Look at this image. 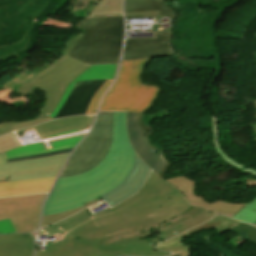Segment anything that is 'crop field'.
<instances>
[{
    "label": "crop field",
    "mask_w": 256,
    "mask_h": 256,
    "mask_svg": "<svg viewBox=\"0 0 256 256\" xmlns=\"http://www.w3.org/2000/svg\"><path fill=\"white\" fill-rule=\"evenodd\" d=\"M204 209L189 205L178 190L152 172L141 190L120 205L91 215L84 209L39 230L59 239L35 256H160L145 238L201 214Z\"/></svg>",
    "instance_id": "crop-field-1"
},
{
    "label": "crop field",
    "mask_w": 256,
    "mask_h": 256,
    "mask_svg": "<svg viewBox=\"0 0 256 256\" xmlns=\"http://www.w3.org/2000/svg\"><path fill=\"white\" fill-rule=\"evenodd\" d=\"M125 114L114 112L112 147L105 159L84 174L59 178L43 216L72 210L99 196L112 207L138 191L151 170L130 146Z\"/></svg>",
    "instance_id": "crop-field-2"
},
{
    "label": "crop field",
    "mask_w": 256,
    "mask_h": 256,
    "mask_svg": "<svg viewBox=\"0 0 256 256\" xmlns=\"http://www.w3.org/2000/svg\"><path fill=\"white\" fill-rule=\"evenodd\" d=\"M82 31L69 56L89 64L117 63L123 43V16L93 17L79 24Z\"/></svg>",
    "instance_id": "crop-field-3"
},
{
    "label": "crop field",
    "mask_w": 256,
    "mask_h": 256,
    "mask_svg": "<svg viewBox=\"0 0 256 256\" xmlns=\"http://www.w3.org/2000/svg\"><path fill=\"white\" fill-rule=\"evenodd\" d=\"M150 59L122 61L119 75L105 95L99 110L144 113L152 107L160 93V87L144 85L141 78Z\"/></svg>",
    "instance_id": "crop-field-4"
},
{
    "label": "crop field",
    "mask_w": 256,
    "mask_h": 256,
    "mask_svg": "<svg viewBox=\"0 0 256 256\" xmlns=\"http://www.w3.org/2000/svg\"><path fill=\"white\" fill-rule=\"evenodd\" d=\"M113 112H99L96 123L71 155L60 177L83 173L101 162L112 141Z\"/></svg>",
    "instance_id": "crop-field-5"
},
{
    "label": "crop field",
    "mask_w": 256,
    "mask_h": 256,
    "mask_svg": "<svg viewBox=\"0 0 256 256\" xmlns=\"http://www.w3.org/2000/svg\"><path fill=\"white\" fill-rule=\"evenodd\" d=\"M68 154L7 163L0 154V181H21L57 176ZM11 176V177H9Z\"/></svg>",
    "instance_id": "crop-field-6"
},
{
    "label": "crop field",
    "mask_w": 256,
    "mask_h": 256,
    "mask_svg": "<svg viewBox=\"0 0 256 256\" xmlns=\"http://www.w3.org/2000/svg\"><path fill=\"white\" fill-rule=\"evenodd\" d=\"M46 194L0 199V220L10 218L16 233L36 231Z\"/></svg>",
    "instance_id": "crop-field-7"
},
{
    "label": "crop field",
    "mask_w": 256,
    "mask_h": 256,
    "mask_svg": "<svg viewBox=\"0 0 256 256\" xmlns=\"http://www.w3.org/2000/svg\"><path fill=\"white\" fill-rule=\"evenodd\" d=\"M90 66L68 57L55 70L41 77L42 81L33 86L46 92V105L41 108V113L48 116L55 109L66 86Z\"/></svg>",
    "instance_id": "crop-field-8"
},
{
    "label": "crop field",
    "mask_w": 256,
    "mask_h": 256,
    "mask_svg": "<svg viewBox=\"0 0 256 256\" xmlns=\"http://www.w3.org/2000/svg\"><path fill=\"white\" fill-rule=\"evenodd\" d=\"M127 128L130 141L137 154L150 166L151 169L154 170V172L164 178L170 163L163 154L152 153V149L146 136V127L143 122L142 114L127 112Z\"/></svg>",
    "instance_id": "crop-field-9"
},
{
    "label": "crop field",
    "mask_w": 256,
    "mask_h": 256,
    "mask_svg": "<svg viewBox=\"0 0 256 256\" xmlns=\"http://www.w3.org/2000/svg\"><path fill=\"white\" fill-rule=\"evenodd\" d=\"M166 181H168L171 185L180 190L191 204L213 210L229 217L235 214L241 207L246 204L228 203L223 200L208 203L203 197L196 196L194 192L195 182L187 179L185 176L173 177Z\"/></svg>",
    "instance_id": "crop-field-10"
},
{
    "label": "crop field",
    "mask_w": 256,
    "mask_h": 256,
    "mask_svg": "<svg viewBox=\"0 0 256 256\" xmlns=\"http://www.w3.org/2000/svg\"><path fill=\"white\" fill-rule=\"evenodd\" d=\"M105 80L78 82L55 118L84 114L88 104Z\"/></svg>",
    "instance_id": "crop-field-11"
},
{
    "label": "crop field",
    "mask_w": 256,
    "mask_h": 256,
    "mask_svg": "<svg viewBox=\"0 0 256 256\" xmlns=\"http://www.w3.org/2000/svg\"><path fill=\"white\" fill-rule=\"evenodd\" d=\"M95 115L90 116H76L71 118L57 119L51 122L35 125L22 130L16 131V133L28 129H35L40 138L50 135L73 131L77 129H89Z\"/></svg>",
    "instance_id": "crop-field-12"
},
{
    "label": "crop field",
    "mask_w": 256,
    "mask_h": 256,
    "mask_svg": "<svg viewBox=\"0 0 256 256\" xmlns=\"http://www.w3.org/2000/svg\"><path fill=\"white\" fill-rule=\"evenodd\" d=\"M202 229H215L218 234H222L227 230H231L239 237L256 245V228L245 223L235 221L231 218L217 215L210 221L186 232L188 235L200 231Z\"/></svg>",
    "instance_id": "crop-field-13"
},
{
    "label": "crop field",
    "mask_w": 256,
    "mask_h": 256,
    "mask_svg": "<svg viewBox=\"0 0 256 256\" xmlns=\"http://www.w3.org/2000/svg\"><path fill=\"white\" fill-rule=\"evenodd\" d=\"M55 177L21 181V182H1L0 197L21 196L33 193L49 192Z\"/></svg>",
    "instance_id": "crop-field-14"
},
{
    "label": "crop field",
    "mask_w": 256,
    "mask_h": 256,
    "mask_svg": "<svg viewBox=\"0 0 256 256\" xmlns=\"http://www.w3.org/2000/svg\"><path fill=\"white\" fill-rule=\"evenodd\" d=\"M34 233L0 236V256H32Z\"/></svg>",
    "instance_id": "crop-field-15"
},
{
    "label": "crop field",
    "mask_w": 256,
    "mask_h": 256,
    "mask_svg": "<svg viewBox=\"0 0 256 256\" xmlns=\"http://www.w3.org/2000/svg\"><path fill=\"white\" fill-rule=\"evenodd\" d=\"M118 64L113 65H95L87 69L83 74H81L77 79H75L71 84H69L58 104L56 109L50 114L54 118L55 114L61 108L63 102L68 97L71 89L75 86L77 81L92 80V79H110L113 80L115 77L116 69Z\"/></svg>",
    "instance_id": "crop-field-16"
},
{
    "label": "crop field",
    "mask_w": 256,
    "mask_h": 256,
    "mask_svg": "<svg viewBox=\"0 0 256 256\" xmlns=\"http://www.w3.org/2000/svg\"><path fill=\"white\" fill-rule=\"evenodd\" d=\"M83 137H74L71 139L63 140V141H57L52 144L53 149L50 150H44L43 145L39 143L23 146L16 148L12 151L6 152V158H15L20 156H26V155H32L37 153H43V152H49V151H55V150H61V149H67L75 147V145L82 139Z\"/></svg>",
    "instance_id": "crop-field-17"
},
{
    "label": "crop field",
    "mask_w": 256,
    "mask_h": 256,
    "mask_svg": "<svg viewBox=\"0 0 256 256\" xmlns=\"http://www.w3.org/2000/svg\"><path fill=\"white\" fill-rule=\"evenodd\" d=\"M159 10L160 16L171 18L177 16V12L168 6L167 0H125V12H142Z\"/></svg>",
    "instance_id": "crop-field-18"
},
{
    "label": "crop field",
    "mask_w": 256,
    "mask_h": 256,
    "mask_svg": "<svg viewBox=\"0 0 256 256\" xmlns=\"http://www.w3.org/2000/svg\"><path fill=\"white\" fill-rule=\"evenodd\" d=\"M156 39L130 40L125 39L123 51H137V50H153L161 48H171V35H162L155 33ZM165 40V42H163Z\"/></svg>",
    "instance_id": "crop-field-19"
},
{
    "label": "crop field",
    "mask_w": 256,
    "mask_h": 256,
    "mask_svg": "<svg viewBox=\"0 0 256 256\" xmlns=\"http://www.w3.org/2000/svg\"><path fill=\"white\" fill-rule=\"evenodd\" d=\"M81 34L71 38L70 40L67 41V44L65 45V48L61 51V56L58 57L56 59V61L50 65L49 67L45 68L44 70L40 71L39 73H35L34 76H36L34 79H32L30 82H28L27 84L23 85L22 87H20V89L18 90V93L20 95H24V94H32L33 91L35 90V88L32 87V85H34L35 83L39 82L40 80H38L41 76L45 75L46 73L52 71L54 68H56L58 65H60L62 62H64L66 60V58L68 57V53L71 49V47L76 43V41L78 40L79 36ZM35 92V91H34Z\"/></svg>",
    "instance_id": "crop-field-20"
},
{
    "label": "crop field",
    "mask_w": 256,
    "mask_h": 256,
    "mask_svg": "<svg viewBox=\"0 0 256 256\" xmlns=\"http://www.w3.org/2000/svg\"><path fill=\"white\" fill-rule=\"evenodd\" d=\"M217 213L214 212H210L208 210H205L200 216L188 220L186 222L180 223L178 225H175L171 228H168L166 230L161 231L159 234H157V236H159L160 238H162L163 240L172 237L174 235H177L181 232H184L190 228H193L195 226H198L206 221H208L210 218H212L213 216H215ZM173 232H176L175 234Z\"/></svg>",
    "instance_id": "crop-field-21"
},
{
    "label": "crop field",
    "mask_w": 256,
    "mask_h": 256,
    "mask_svg": "<svg viewBox=\"0 0 256 256\" xmlns=\"http://www.w3.org/2000/svg\"><path fill=\"white\" fill-rule=\"evenodd\" d=\"M111 15H122V0H101L89 17Z\"/></svg>",
    "instance_id": "crop-field-22"
},
{
    "label": "crop field",
    "mask_w": 256,
    "mask_h": 256,
    "mask_svg": "<svg viewBox=\"0 0 256 256\" xmlns=\"http://www.w3.org/2000/svg\"><path fill=\"white\" fill-rule=\"evenodd\" d=\"M185 237H187V234L182 233L176 237L160 243L157 245L156 249L170 251L174 254L183 253L182 256H189L190 246H185L182 241Z\"/></svg>",
    "instance_id": "crop-field-23"
},
{
    "label": "crop field",
    "mask_w": 256,
    "mask_h": 256,
    "mask_svg": "<svg viewBox=\"0 0 256 256\" xmlns=\"http://www.w3.org/2000/svg\"><path fill=\"white\" fill-rule=\"evenodd\" d=\"M53 120L50 117L40 114L39 118L36 120H31L27 122H19V123H4L0 124V136L11 131H15L17 129L25 128L31 125L43 123L46 121Z\"/></svg>",
    "instance_id": "crop-field-24"
},
{
    "label": "crop field",
    "mask_w": 256,
    "mask_h": 256,
    "mask_svg": "<svg viewBox=\"0 0 256 256\" xmlns=\"http://www.w3.org/2000/svg\"><path fill=\"white\" fill-rule=\"evenodd\" d=\"M212 119V130L214 132V147L215 149L219 152V154L222 156L223 160H225L228 164H231L235 167H238L239 169H241L243 166L239 165L237 162L233 161L230 157H228L226 154L222 153L217 141H218V137H219V128H218V121L215 117H211ZM242 170V169H241ZM246 173H249L251 175L256 176V171L252 170V169H245L242 170Z\"/></svg>",
    "instance_id": "crop-field-25"
},
{
    "label": "crop field",
    "mask_w": 256,
    "mask_h": 256,
    "mask_svg": "<svg viewBox=\"0 0 256 256\" xmlns=\"http://www.w3.org/2000/svg\"><path fill=\"white\" fill-rule=\"evenodd\" d=\"M174 49H162L153 51L123 52L121 59H139L150 56H165L174 54Z\"/></svg>",
    "instance_id": "crop-field-26"
},
{
    "label": "crop field",
    "mask_w": 256,
    "mask_h": 256,
    "mask_svg": "<svg viewBox=\"0 0 256 256\" xmlns=\"http://www.w3.org/2000/svg\"><path fill=\"white\" fill-rule=\"evenodd\" d=\"M233 218L239 221L256 224V197L235 216H233Z\"/></svg>",
    "instance_id": "crop-field-27"
},
{
    "label": "crop field",
    "mask_w": 256,
    "mask_h": 256,
    "mask_svg": "<svg viewBox=\"0 0 256 256\" xmlns=\"http://www.w3.org/2000/svg\"><path fill=\"white\" fill-rule=\"evenodd\" d=\"M99 200H103L101 197L97 198V199H94L90 202H87L85 203V206H82L80 208H77V209H74L72 211H68V212H63V213H59V214H55V215H50V216H45L42 218V222H41V225L42 226H45V225H49V224H52V223H55V222H58L64 218H67L73 214H75L76 212L80 211L81 209L99 201Z\"/></svg>",
    "instance_id": "crop-field-28"
},
{
    "label": "crop field",
    "mask_w": 256,
    "mask_h": 256,
    "mask_svg": "<svg viewBox=\"0 0 256 256\" xmlns=\"http://www.w3.org/2000/svg\"><path fill=\"white\" fill-rule=\"evenodd\" d=\"M111 83H112V81L106 80L105 83L100 87V89L97 91V93L93 97V99L87 109L86 114H95L96 113V109H97L99 100L102 97V95L105 93L107 88L110 86Z\"/></svg>",
    "instance_id": "crop-field-29"
},
{
    "label": "crop field",
    "mask_w": 256,
    "mask_h": 256,
    "mask_svg": "<svg viewBox=\"0 0 256 256\" xmlns=\"http://www.w3.org/2000/svg\"><path fill=\"white\" fill-rule=\"evenodd\" d=\"M20 146L12 133L0 137V153L12 150Z\"/></svg>",
    "instance_id": "crop-field-30"
},
{
    "label": "crop field",
    "mask_w": 256,
    "mask_h": 256,
    "mask_svg": "<svg viewBox=\"0 0 256 256\" xmlns=\"http://www.w3.org/2000/svg\"><path fill=\"white\" fill-rule=\"evenodd\" d=\"M71 151H72V149H67V150H61V151H55V152L37 154V155H32V156L20 157V158H15V159H9V160H7V161H8V162H11V161H17V160H23V159L26 160V159H32V158H37V157H43V156H49V155L67 153V152H71Z\"/></svg>",
    "instance_id": "crop-field-31"
},
{
    "label": "crop field",
    "mask_w": 256,
    "mask_h": 256,
    "mask_svg": "<svg viewBox=\"0 0 256 256\" xmlns=\"http://www.w3.org/2000/svg\"><path fill=\"white\" fill-rule=\"evenodd\" d=\"M13 227L9 219L0 221V234L13 233Z\"/></svg>",
    "instance_id": "crop-field-32"
},
{
    "label": "crop field",
    "mask_w": 256,
    "mask_h": 256,
    "mask_svg": "<svg viewBox=\"0 0 256 256\" xmlns=\"http://www.w3.org/2000/svg\"><path fill=\"white\" fill-rule=\"evenodd\" d=\"M126 17H136V16H159L158 11L153 12H142V13H125Z\"/></svg>",
    "instance_id": "crop-field-33"
},
{
    "label": "crop field",
    "mask_w": 256,
    "mask_h": 256,
    "mask_svg": "<svg viewBox=\"0 0 256 256\" xmlns=\"http://www.w3.org/2000/svg\"><path fill=\"white\" fill-rule=\"evenodd\" d=\"M79 131H80V130H78V131H74V132H79ZM74 132H69V133L58 134V135L50 136V137H47V138H52V137H56V136H60V135L71 134V133H74ZM47 138H43V139H47ZM43 139H41V140H43Z\"/></svg>",
    "instance_id": "crop-field-34"
},
{
    "label": "crop field",
    "mask_w": 256,
    "mask_h": 256,
    "mask_svg": "<svg viewBox=\"0 0 256 256\" xmlns=\"http://www.w3.org/2000/svg\"><path fill=\"white\" fill-rule=\"evenodd\" d=\"M255 117H256V115H255ZM251 127H252V130L256 133V125H251ZM255 141H256V138H255Z\"/></svg>",
    "instance_id": "crop-field-35"
},
{
    "label": "crop field",
    "mask_w": 256,
    "mask_h": 256,
    "mask_svg": "<svg viewBox=\"0 0 256 256\" xmlns=\"http://www.w3.org/2000/svg\"><path fill=\"white\" fill-rule=\"evenodd\" d=\"M182 254H178V255H171V256H181Z\"/></svg>",
    "instance_id": "crop-field-36"
},
{
    "label": "crop field",
    "mask_w": 256,
    "mask_h": 256,
    "mask_svg": "<svg viewBox=\"0 0 256 256\" xmlns=\"http://www.w3.org/2000/svg\"><path fill=\"white\" fill-rule=\"evenodd\" d=\"M255 106H256V100H255Z\"/></svg>",
    "instance_id": "crop-field-37"
}]
</instances>
